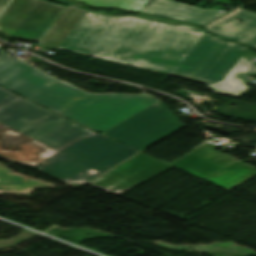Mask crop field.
Wrapping results in <instances>:
<instances>
[{
    "label": "crop field",
    "instance_id": "crop-field-1",
    "mask_svg": "<svg viewBox=\"0 0 256 256\" xmlns=\"http://www.w3.org/2000/svg\"><path fill=\"white\" fill-rule=\"evenodd\" d=\"M137 152L0 88L1 157L83 184Z\"/></svg>",
    "mask_w": 256,
    "mask_h": 256
},
{
    "label": "crop field",
    "instance_id": "crop-field-2",
    "mask_svg": "<svg viewBox=\"0 0 256 256\" xmlns=\"http://www.w3.org/2000/svg\"><path fill=\"white\" fill-rule=\"evenodd\" d=\"M205 31L87 12L59 48L171 75Z\"/></svg>",
    "mask_w": 256,
    "mask_h": 256
},
{
    "label": "crop field",
    "instance_id": "crop-field-3",
    "mask_svg": "<svg viewBox=\"0 0 256 256\" xmlns=\"http://www.w3.org/2000/svg\"><path fill=\"white\" fill-rule=\"evenodd\" d=\"M0 86L101 133L158 101L148 94H91L8 54H0Z\"/></svg>",
    "mask_w": 256,
    "mask_h": 256
},
{
    "label": "crop field",
    "instance_id": "crop-field-4",
    "mask_svg": "<svg viewBox=\"0 0 256 256\" xmlns=\"http://www.w3.org/2000/svg\"><path fill=\"white\" fill-rule=\"evenodd\" d=\"M244 50L241 45L205 33L172 75L205 85L222 81Z\"/></svg>",
    "mask_w": 256,
    "mask_h": 256
},
{
    "label": "crop field",
    "instance_id": "crop-field-5",
    "mask_svg": "<svg viewBox=\"0 0 256 256\" xmlns=\"http://www.w3.org/2000/svg\"><path fill=\"white\" fill-rule=\"evenodd\" d=\"M183 125L158 101L103 134L141 150Z\"/></svg>",
    "mask_w": 256,
    "mask_h": 256
},
{
    "label": "crop field",
    "instance_id": "crop-field-6",
    "mask_svg": "<svg viewBox=\"0 0 256 256\" xmlns=\"http://www.w3.org/2000/svg\"><path fill=\"white\" fill-rule=\"evenodd\" d=\"M63 8L44 0H13L0 17V30L10 38L39 41Z\"/></svg>",
    "mask_w": 256,
    "mask_h": 256
},
{
    "label": "crop field",
    "instance_id": "crop-field-7",
    "mask_svg": "<svg viewBox=\"0 0 256 256\" xmlns=\"http://www.w3.org/2000/svg\"><path fill=\"white\" fill-rule=\"evenodd\" d=\"M171 167L141 153L89 184L118 195Z\"/></svg>",
    "mask_w": 256,
    "mask_h": 256
},
{
    "label": "crop field",
    "instance_id": "crop-field-8",
    "mask_svg": "<svg viewBox=\"0 0 256 256\" xmlns=\"http://www.w3.org/2000/svg\"><path fill=\"white\" fill-rule=\"evenodd\" d=\"M243 19L240 23L238 20ZM206 30L226 40L256 47V14L237 9L205 26Z\"/></svg>",
    "mask_w": 256,
    "mask_h": 256
},
{
    "label": "crop field",
    "instance_id": "crop-field-9",
    "mask_svg": "<svg viewBox=\"0 0 256 256\" xmlns=\"http://www.w3.org/2000/svg\"><path fill=\"white\" fill-rule=\"evenodd\" d=\"M176 0H152L140 12L187 21L200 26L222 16L215 10H202Z\"/></svg>",
    "mask_w": 256,
    "mask_h": 256
},
{
    "label": "crop field",
    "instance_id": "crop-field-10",
    "mask_svg": "<svg viewBox=\"0 0 256 256\" xmlns=\"http://www.w3.org/2000/svg\"><path fill=\"white\" fill-rule=\"evenodd\" d=\"M215 147L207 143L172 165L204 179L236 160L212 150Z\"/></svg>",
    "mask_w": 256,
    "mask_h": 256
},
{
    "label": "crop field",
    "instance_id": "crop-field-11",
    "mask_svg": "<svg viewBox=\"0 0 256 256\" xmlns=\"http://www.w3.org/2000/svg\"><path fill=\"white\" fill-rule=\"evenodd\" d=\"M248 74L255 76L256 66L241 57L224 81L210 84L208 87L214 93L239 96L249 91V86L246 85L249 81L245 79Z\"/></svg>",
    "mask_w": 256,
    "mask_h": 256
},
{
    "label": "crop field",
    "instance_id": "crop-field-12",
    "mask_svg": "<svg viewBox=\"0 0 256 256\" xmlns=\"http://www.w3.org/2000/svg\"><path fill=\"white\" fill-rule=\"evenodd\" d=\"M86 12L85 10L68 6L41 44L57 48Z\"/></svg>",
    "mask_w": 256,
    "mask_h": 256
},
{
    "label": "crop field",
    "instance_id": "crop-field-13",
    "mask_svg": "<svg viewBox=\"0 0 256 256\" xmlns=\"http://www.w3.org/2000/svg\"><path fill=\"white\" fill-rule=\"evenodd\" d=\"M254 175H256L255 168L236 161L205 180L230 190Z\"/></svg>",
    "mask_w": 256,
    "mask_h": 256
},
{
    "label": "crop field",
    "instance_id": "crop-field-14",
    "mask_svg": "<svg viewBox=\"0 0 256 256\" xmlns=\"http://www.w3.org/2000/svg\"><path fill=\"white\" fill-rule=\"evenodd\" d=\"M55 187L54 185L16 175L0 163V193L27 194L34 188Z\"/></svg>",
    "mask_w": 256,
    "mask_h": 256
},
{
    "label": "crop field",
    "instance_id": "crop-field-15",
    "mask_svg": "<svg viewBox=\"0 0 256 256\" xmlns=\"http://www.w3.org/2000/svg\"><path fill=\"white\" fill-rule=\"evenodd\" d=\"M99 8H119L127 11H140L150 0H74Z\"/></svg>",
    "mask_w": 256,
    "mask_h": 256
},
{
    "label": "crop field",
    "instance_id": "crop-field-16",
    "mask_svg": "<svg viewBox=\"0 0 256 256\" xmlns=\"http://www.w3.org/2000/svg\"><path fill=\"white\" fill-rule=\"evenodd\" d=\"M137 16H143V17H149V18H158V19H162V20H165V21L171 22V23L187 24V23H183V22L173 21V20H169V19H164V18L149 16V15H144V14H138ZM188 25L193 26V27H195V28H198L197 26H194V25H191V24H188Z\"/></svg>",
    "mask_w": 256,
    "mask_h": 256
},
{
    "label": "crop field",
    "instance_id": "crop-field-17",
    "mask_svg": "<svg viewBox=\"0 0 256 256\" xmlns=\"http://www.w3.org/2000/svg\"><path fill=\"white\" fill-rule=\"evenodd\" d=\"M10 0H0V12Z\"/></svg>",
    "mask_w": 256,
    "mask_h": 256
},
{
    "label": "crop field",
    "instance_id": "crop-field-18",
    "mask_svg": "<svg viewBox=\"0 0 256 256\" xmlns=\"http://www.w3.org/2000/svg\"><path fill=\"white\" fill-rule=\"evenodd\" d=\"M90 172H94V170L90 171Z\"/></svg>",
    "mask_w": 256,
    "mask_h": 256
}]
</instances>
